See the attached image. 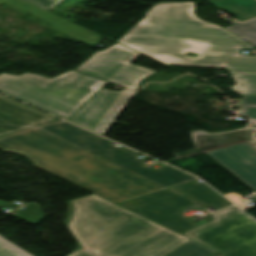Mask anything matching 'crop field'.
Returning a JSON list of instances; mask_svg holds the SVG:
<instances>
[{
  "label": "crop field",
  "instance_id": "crop-field-1",
  "mask_svg": "<svg viewBox=\"0 0 256 256\" xmlns=\"http://www.w3.org/2000/svg\"><path fill=\"white\" fill-rule=\"evenodd\" d=\"M195 3H157L119 43L166 64L228 68L256 72V56L240 55L253 48L229 30L199 20ZM200 54L190 58L184 53Z\"/></svg>",
  "mask_w": 256,
  "mask_h": 256
},
{
  "label": "crop field",
  "instance_id": "crop-field-2",
  "mask_svg": "<svg viewBox=\"0 0 256 256\" xmlns=\"http://www.w3.org/2000/svg\"><path fill=\"white\" fill-rule=\"evenodd\" d=\"M0 150L114 204L166 189L36 127L1 136Z\"/></svg>",
  "mask_w": 256,
  "mask_h": 256
},
{
  "label": "crop field",
  "instance_id": "crop-field-3",
  "mask_svg": "<svg viewBox=\"0 0 256 256\" xmlns=\"http://www.w3.org/2000/svg\"><path fill=\"white\" fill-rule=\"evenodd\" d=\"M68 204L66 226L96 256H165L190 240L95 195Z\"/></svg>",
  "mask_w": 256,
  "mask_h": 256
},
{
  "label": "crop field",
  "instance_id": "crop-field-4",
  "mask_svg": "<svg viewBox=\"0 0 256 256\" xmlns=\"http://www.w3.org/2000/svg\"><path fill=\"white\" fill-rule=\"evenodd\" d=\"M106 83L76 71L52 79L30 73H4L0 75V92L68 120Z\"/></svg>",
  "mask_w": 256,
  "mask_h": 256
},
{
  "label": "crop field",
  "instance_id": "crop-field-5",
  "mask_svg": "<svg viewBox=\"0 0 256 256\" xmlns=\"http://www.w3.org/2000/svg\"><path fill=\"white\" fill-rule=\"evenodd\" d=\"M39 127L167 188L197 180V178L170 166L153 171L142 164L150 158L139 159L137 157L141 154L124 146L117 148L111 145L113 142L66 121L60 120Z\"/></svg>",
  "mask_w": 256,
  "mask_h": 256
},
{
  "label": "crop field",
  "instance_id": "crop-field-6",
  "mask_svg": "<svg viewBox=\"0 0 256 256\" xmlns=\"http://www.w3.org/2000/svg\"><path fill=\"white\" fill-rule=\"evenodd\" d=\"M212 220L186 234L224 256H256V221L237 207L212 214Z\"/></svg>",
  "mask_w": 256,
  "mask_h": 256
},
{
  "label": "crop field",
  "instance_id": "crop-field-7",
  "mask_svg": "<svg viewBox=\"0 0 256 256\" xmlns=\"http://www.w3.org/2000/svg\"><path fill=\"white\" fill-rule=\"evenodd\" d=\"M138 56L140 54L116 44L98 51L76 70L136 90L142 79L156 72L130 64Z\"/></svg>",
  "mask_w": 256,
  "mask_h": 256
},
{
  "label": "crop field",
  "instance_id": "crop-field-8",
  "mask_svg": "<svg viewBox=\"0 0 256 256\" xmlns=\"http://www.w3.org/2000/svg\"><path fill=\"white\" fill-rule=\"evenodd\" d=\"M117 205L178 233L205 222L202 220L196 223L189 217L181 216L186 206H190L192 209L197 208V206L168 189Z\"/></svg>",
  "mask_w": 256,
  "mask_h": 256
},
{
  "label": "crop field",
  "instance_id": "crop-field-9",
  "mask_svg": "<svg viewBox=\"0 0 256 256\" xmlns=\"http://www.w3.org/2000/svg\"><path fill=\"white\" fill-rule=\"evenodd\" d=\"M132 94L133 91L126 89L121 92L103 89L69 121L102 135Z\"/></svg>",
  "mask_w": 256,
  "mask_h": 256
},
{
  "label": "crop field",
  "instance_id": "crop-field-10",
  "mask_svg": "<svg viewBox=\"0 0 256 256\" xmlns=\"http://www.w3.org/2000/svg\"><path fill=\"white\" fill-rule=\"evenodd\" d=\"M57 120L0 95V136Z\"/></svg>",
  "mask_w": 256,
  "mask_h": 256
},
{
  "label": "crop field",
  "instance_id": "crop-field-11",
  "mask_svg": "<svg viewBox=\"0 0 256 256\" xmlns=\"http://www.w3.org/2000/svg\"><path fill=\"white\" fill-rule=\"evenodd\" d=\"M256 191V152L245 144L207 153Z\"/></svg>",
  "mask_w": 256,
  "mask_h": 256
},
{
  "label": "crop field",
  "instance_id": "crop-field-12",
  "mask_svg": "<svg viewBox=\"0 0 256 256\" xmlns=\"http://www.w3.org/2000/svg\"><path fill=\"white\" fill-rule=\"evenodd\" d=\"M255 128H242L231 132L211 134L203 131L190 133L195 150L175 155L177 159L204 152L254 141Z\"/></svg>",
  "mask_w": 256,
  "mask_h": 256
},
{
  "label": "crop field",
  "instance_id": "crop-field-13",
  "mask_svg": "<svg viewBox=\"0 0 256 256\" xmlns=\"http://www.w3.org/2000/svg\"><path fill=\"white\" fill-rule=\"evenodd\" d=\"M170 189L191 198L203 209L212 206L218 210L232 205L204 183L193 181Z\"/></svg>",
  "mask_w": 256,
  "mask_h": 256
},
{
  "label": "crop field",
  "instance_id": "crop-field-14",
  "mask_svg": "<svg viewBox=\"0 0 256 256\" xmlns=\"http://www.w3.org/2000/svg\"><path fill=\"white\" fill-rule=\"evenodd\" d=\"M236 85L227 89L241 96H256V75L230 73Z\"/></svg>",
  "mask_w": 256,
  "mask_h": 256
},
{
  "label": "crop field",
  "instance_id": "crop-field-15",
  "mask_svg": "<svg viewBox=\"0 0 256 256\" xmlns=\"http://www.w3.org/2000/svg\"><path fill=\"white\" fill-rule=\"evenodd\" d=\"M213 253L214 250L190 240L166 256H210Z\"/></svg>",
  "mask_w": 256,
  "mask_h": 256
},
{
  "label": "crop field",
  "instance_id": "crop-field-16",
  "mask_svg": "<svg viewBox=\"0 0 256 256\" xmlns=\"http://www.w3.org/2000/svg\"><path fill=\"white\" fill-rule=\"evenodd\" d=\"M227 29L256 47V20L228 27Z\"/></svg>",
  "mask_w": 256,
  "mask_h": 256
},
{
  "label": "crop field",
  "instance_id": "crop-field-17",
  "mask_svg": "<svg viewBox=\"0 0 256 256\" xmlns=\"http://www.w3.org/2000/svg\"><path fill=\"white\" fill-rule=\"evenodd\" d=\"M18 214V218L36 226L45 216L36 203H31L24 207Z\"/></svg>",
  "mask_w": 256,
  "mask_h": 256
},
{
  "label": "crop field",
  "instance_id": "crop-field-18",
  "mask_svg": "<svg viewBox=\"0 0 256 256\" xmlns=\"http://www.w3.org/2000/svg\"><path fill=\"white\" fill-rule=\"evenodd\" d=\"M240 114L250 117V126H256V97H243Z\"/></svg>",
  "mask_w": 256,
  "mask_h": 256
},
{
  "label": "crop field",
  "instance_id": "crop-field-19",
  "mask_svg": "<svg viewBox=\"0 0 256 256\" xmlns=\"http://www.w3.org/2000/svg\"><path fill=\"white\" fill-rule=\"evenodd\" d=\"M0 256H32L0 237Z\"/></svg>",
  "mask_w": 256,
  "mask_h": 256
},
{
  "label": "crop field",
  "instance_id": "crop-field-20",
  "mask_svg": "<svg viewBox=\"0 0 256 256\" xmlns=\"http://www.w3.org/2000/svg\"><path fill=\"white\" fill-rule=\"evenodd\" d=\"M30 4H33L46 11H50L55 5L60 3L62 0H23Z\"/></svg>",
  "mask_w": 256,
  "mask_h": 256
},
{
  "label": "crop field",
  "instance_id": "crop-field-21",
  "mask_svg": "<svg viewBox=\"0 0 256 256\" xmlns=\"http://www.w3.org/2000/svg\"><path fill=\"white\" fill-rule=\"evenodd\" d=\"M225 196H227L229 199L235 202L239 207H243L245 204V200L236 193L227 194Z\"/></svg>",
  "mask_w": 256,
  "mask_h": 256
},
{
  "label": "crop field",
  "instance_id": "crop-field-22",
  "mask_svg": "<svg viewBox=\"0 0 256 256\" xmlns=\"http://www.w3.org/2000/svg\"><path fill=\"white\" fill-rule=\"evenodd\" d=\"M95 253L86 250H77L69 256H92Z\"/></svg>",
  "mask_w": 256,
  "mask_h": 256
},
{
  "label": "crop field",
  "instance_id": "crop-field-23",
  "mask_svg": "<svg viewBox=\"0 0 256 256\" xmlns=\"http://www.w3.org/2000/svg\"><path fill=\"white\" fill-rule=\"evenodd\" d=\"M17 206H19V205L15 204V203L8 204L6 202L0 201V207L6 208V209H8V208L13 209Z\"/></svg>",
  "mask_w": 256,
  "mask_h": 256
},
{
  "label": "crop field",
  "instance_id": "crop-field-24",
  "mask_svg": "<svg viewBox=\"0 0 256 256\" xmlns=\"http://www.w3.org/2000/svg\"><path fill=\"white\" fill-rule=\"evenodd\" d=\"M249 147H251L253 150L256 151V141L254 142H250V143H246Z\"/></svg>",
  "mask_w": 256,
  "mask_h": 256
},
{
  "label": "crop field",
  "instance_id": "crop-field-25",
  "mask_svg": "<svg viewBox=\"0 0 256 256\" xmlns=\"http://www.w3.org/2000/svg\"><path fill=\"white\" fill-rule=\"evenodd\" d=\"M214 256H222V255H220L219 253H217V254H215Z\"/></svg>",
  "mask_w": 256,
  "mask_h": 256
},
{
  "label": "crop field",
  "instance_id": "crop-field-26",
  "mask_svg": "<svg viewBox=\"0 0 256 256\" xmlns=\"http://www.w3.org/2000/svg\"><path fill=\"white\" fill-rule=\"evenodd\" d=\"M250 198H252V199L256 200V197H250Z\"/></svg>",
  "mask_w": 256,
  "mask_h": 256
},
{
  "label": "crop field",
  "instance_id": "crop-field-27",
  "mask_svg": "<svg viewBox=\"0 0 256 256\" xmlns=\"http://www.w3.org/2000/svg\"><path fill=\"white\" fill-rule=\"evenodd\" d=\"M256 195V194H255Z\"/></svg>",
  "mask_w": 256,
  "mask_h": 256
}]
</instances>
